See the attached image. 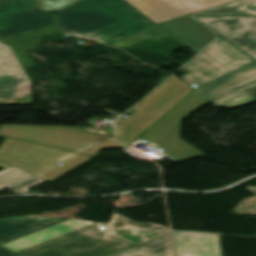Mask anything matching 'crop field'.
<instances>
[{
    "mask_svg": "<svg viewBox=\"0 0 256 256\" xmlns=\"http://www.w3.org/2000/svg\"><path fill=\"white\" fill-rule=\"evenodd\" d=\"M70 219L61 224L2 245L23 256H109L154 237L169 233L167 227L134 222L117 213L110 224ZM163 236V235H162Z\"/></svg>",
    "mask_w": 256,
    "mask_h": 256,
    "instance_id": "crop-field-1",
    "label": "crop field"
},
{
    "mask_svg": "<svg viewBox=\"0 0 256 256\" xmlns=\"http://www.w3.org/2000/svg\"><path fill=\"white\" fill-rule=\"evenodd\" d=\"M0 160L38 175L73 153L110 137L70 126L0 125Z\"/></svg>",
    "mask_w": 256,
    "mask_h": 256,
    "instance_id": "crop-field-2",
    "label": "crop field"
},
{
    "mask_svg": "<svg viewBox=\"0 0 256 256\" xmlns=\"http://www.w3.org/2000/svg\"><path fill=\"white\" fill-rule=\"evenodd\" d=\"M55 16L61 33L107 45L154 25L122 0H85Z\"/></svg>",
    "mask_w": 256,
    "mask_h": 256,
    "instance_id": "crop-field-3",
    "label": "crop field"
},
{
    "mask_svg": "<svg viewBox=\"0 0 256 256\" xmlns=\"http://www.w3.org/2000/svg\"><path fill=\"white\" fill-rule=\"evenodd\" d=\"M192 90L173 75L135 106L128 118L117 120L115 138L128 145Z\"/></svg>",
    "mask_w": 256,
    "mask_h": 256,
    "instance_id": "crop-field-4",
    "label": "crop field"
},
{
    "mask_svg": "<svg viewBox=\"0 0 256 256\" xmlns=\"http://www.w3.org/2000/svg\"><path fill=\"white\" fill-rule=\"evenodd\" d=\"M210 103L197 92H192L172 111L149 128L141 140L160 147L171 158L182 162L191 158L204 155L188 143L180 139L179 130L181 119L199 108Z\"/></svg>",
    "mask_w": 256,
    "mask_h": 256,
    "instance_id": "crop-field-5",
    "label": "crop field"
},
{
    "mask_svg": "<svg viewBox=\"0 0 256 256\" xmlns=\"http://www.w3.org/2000/svg\"><path fill=\"white\" fill-rule=\"evenodd\" d=\"M251 61L247 56L219 38L183 66L191 72L182 79L189 84L196 83L201 86Z\"/></svg>",
    "mask_w": 256,
    "mask_h": 256,
    "instance_id": "crop-field-6",
    "label": "crop field"
},
{
    "mask_svg": "<svg viewBox=\"0 0 256 256\" xmlns=\"http://www.w3.org/2000/svg\"><path fill=\"white\" fill-rule=\"evenodd\" d=\"M256 86V62L224 76L199 91L217 106L230 109L255 101L243 90Z\"/></svg>",
    "mask_w": 256,
    "mask_h": 256,
    "instance_id": "crop-field-7",
    "label": "crop field"
},
{
    "mask_svg": "<svg viewBox=\"0 0 256 256\" xmlns=\"http://www.w3.org/2000/svg\"><path fill=\"white\" fill-rule=\"evenodd\" d=\"M52 13H37L33 0L0 4V38L55 25Z\"/></svg>",
    "mask_w": 256,
    "mask_h": 256,
    "instance_id": "crop-field-8",
    "label": "crop field"
},
{
    "mask_svg": "<svg viewBox=\"0 0 256 256\" xmlns=\"http://www.w3.org/2000/svg\"><path fill=\"white\" fill-rule=\"evenodd\" d=\"M195 18L256 60V17L230 15Z\"/></svg>",
    "mask_w": 256,
    "mask_h": 256,
    "instance_id": "crop-field-9",
    "label": "crop field"
},
{
    "mask_svg": "<svg viewBox=\"0 0 256 256\" xmlns=\"http://www.w3.org/2000/svg\"><path fill=\"white\" fill-rule=\"evenodd\" d=\"M0 104H32L30 81L11 48L0 51Z\"/></svg>",
    "mask_w": 256,
    "mask_h": 256,
    "instance_id": "crop-field-10",
    "label": "crop field"
},
{
    "mask_svg": "<svg viewBox=\"0 0 256 256\" xmlns=\"http://www.w3.org/2000/svg\"><path fill=\"white\" fill-rule=\"evenodd\" d=\"M154 22L172 18L232 0H126Z\"/></svg>",
    "mask_w": 256,
    "mask_h": 256,
    "instance_id": "crop-field-11",
    "label": "crop field"
},
{
    "mask_svg": "<svg viewBox=\"0 0 256 256\" xmlns=\"http://www.w3.org/2000/svg\"><path fill=\"white\" fill-rule=\"evenodd\" d=\"M158 26L195 54L215 38V34L189 16Z\"/></svg>",
    "mask_w": 256,
    "mask_h": 256,
    "instance_id": "crop-field-12",
    "label": "crop field"
},
{
    "mask_svg": "<svg viewBox=\"0 0 256 256\" xmlns=\"http://www.w3.org/2000/svg\"><path fill=\"white\" fill-rule=\"evenodd\" d=\"M63 222L61 219L12 217L0 220V245ZM0 256H20L0 246Z\"/></svg>",
    "mask_w": 256,
    "mask_h": 256,
    "instance_id": "crop-field-13",
    "label": "crop field"
},
{
    "mask_svg": "<svg viewBox=\"0 0 256 256\" xmlns=\"http://www.w3.org/2000/svg\"><path fill=\"white\" fill-rule=\"evenodd\" d=\"M177 256H222L218 235L173 232Z\"/></svg>",
    "mask_w": 256,
    "mask_h": 256,
    "instance_id": "crop-field-14",
    "label": "crop field"
},
{
    "mask_svg": "<svg viewBox=\"0 0 256 256\" xmlns=\"http://www.w3.org/2000/svg\"><path fill=\"white\" fill-rule=\"evenodd\" d=\"M111 256H172L169 235Z\"/></svg>",
    "mask_w": 256,
    "mask_h": 256,
    "instance_id": "crop-field-15",
    "label": "crop field"
},
{
    "mask_svg": "<svg viewBox=\"0 0 256 256\" xmlns=\"http://www.w3.org/2000/svg\"><path fill=\"white\" fill-rule=\"evenodd\" d=\"M210 14H250L256 15V0H238L210 10H206L196 15Z\"/></svg>",
    "mask_w": 256,
    "mask_h": 256,
    "instance_id": "crop-field-16",
    "label": "crop field"
},
{
    "mask_svg": "<svg viewBox=\"0 0 256 256\" xmlns=\"http://www.w3.org/2000/svg\"><path fill=\"white\" fill-rule=\"evenodd\" d=\"M166 36H169L167 33H165L163 30H161L157 25H154L150 28H147L145 30H142L138 33H135L133 35H130L110 46H114L121 49H126L136 43H139L147 38H151L155 41H158Z\"/></svg>",
    "mask_w": 256,
    "mask_h": 256,
    "instance_id": "crop-field-17",
    "label": "crop field"
},
{
    "mask_svg": "<svg viewBox=\"0 0 256 256\" xmlns=\"http://www.w3.org/2000/svg\"><path fill=\"white\" fill-rule=\"evenodd\" d=\"M91 157L83 156L75 154L68 159L60 162L63 165L60 167L54 166L51 169L47 170L43 174L39 175L38 177L51 182L56 178L62 176L63 174L67 173L68 171L72 170L73 168L77 167L78 165L84 163L85 161L89 160Z\"/></svg>",
    "mask_w": 256,
    "mask_h": 256,
    "instance_id": "crop-field-18",
    "label": "crop field"
},
{
    "mask_svg": "<svg viewBox=\"0 0 256 256\" xmlns=\"http://www.w3.org/2000/svg\"><path fill=\"white\" fill-rule=\"evenodd\" d=\"M0 168L4 169L0 171V190L8 186L24 181L26 179L34 177L31 174L23 172L9 164L0 161Z\"/></svg>",
    "mask_w": 256,
    "mask_h": 256,
    "instance_id": "crop-field-19",
    "label": "crop field"
},
{
    "mask_svg": "<svg viewBox=\"0 0 256 256\" xmlns=\"http://www.w3.org/2000/svg\"><path fill=\"white\" fill-rule=\"evenodd\" d=\"M58 32H59L58 27L55 26V27H51V28H47V29H43V30H39V31H35V32L7 38V39H3L0 41L11 46V45L31 41V40L41 39V37H43V36H47V35L58 33Z\"/></svg>",
    "mask_w": 256,
    "mask_h": 256,
    "instance_id": "crop-field-20",
    "label": "crop field"
},
{
    "mask_svg": "<svg viewBox=\"0 0 256 256\" xmlns=\"http://www.w3.org/2000/svg\"><path fill=\"white\" fill-rule=\"evenodd\" d=\"M42 41H33L16 47H12L17 59L19 60L22 68L34 66L26 51L34 49L36 44H40Z\"/></svg>",
    "mask_w": 256,
    "mask_h": 256,
    "instance_id": "crop-field-21",
    "label": "crop field"
},
{
    "mask_svg": "<svg viewBox=\"0 0 256 256\" xmlns=\"http://www.w3.org/2000/svg\"><path fill=\"white\" fill-rule=\"evenodd\" d=\"M81 0H36L38 11H58Z\"/></svg>",
    "mask_w": 256,
    "mask_h": 256,
    "instance_id": "crop-field-22",
    "label": "crop field"
},
{
    "mask_svg": "<svg viewBox=\"0 0 256 256\" xmlns=\"http://www.w3.org/2000/svg\"><path fill=\"white\" fill-rule=\"evenodd\" d=\"M247 189L256 194V186H246ZM234 212L256 215V196L244 199Z\"/></svg>",
    "mask_w": 256,
    "mask_h": 256,
    "instance_id": "crop-field-23",
    "label": "crop field"
},
{
    "mask_svg": "<svg viewBox=\"0 0 256 256\" xmlns=\"http://www.w3.org/2000/svg\"><path fill=\"white\" fill-rule=\"evenodd\" d=\"M103 147H124L122 144H120L119 142H117L115 139H109L107 141H104L102 143H99L97 145H94L90 148H87L81 152L78 153H82V154H86V155H94L99 149L103 148Z\"/></svg>",
    "mask_w": 256,
    "mask_h": 256,
    "instance_id": "crop-field-24",
    "label": "crop field"
},
{
    "mask_svg": "<svg viewBox=\"0 0 256 256\" xmlns=\"http://www.w3.org/2000/svg\"><path fill=\"white\" fill-rule=\"evenodd\" d=\"M45 181L35 177L31 180H28L26 182L20 183L18 185H15L13 187L8 188L9 190L15 192L16 194H22V193H28L27 187L29 186H36L40 183H43Z\"/></svg>",
    "mask_w": 256,
    "mask_h": 256,
    "instance_id": "crop-field-25",
    "label": "crop field"
},
{
    "mask_svg": "<svg viewBox=\"0 0 256 256\" xmlns=\"http://www.w3.org/2000/svg\"><path fill=\"white\" fill-rule=\"evenodd\" d=\"M250 96H252L254 99H256V87L245 90Z\"/></svg>",
    "mask_w": 256,
    "mask_h": 256,
    "instance_id": "crop-field-26",
    "label": "crop field"
},
{
    "mask_svg": "<svg viewBox=\"0 0 256 256\" xmlns=\"http://www.w3.org/2000/svg\"><path fill=\"white\" fill-rule=\"evenodd\" d=\"M5 47H8V46H6V45L0 43V49H1V48H5Z\"/></svg>",
    "mask_w": 256,
    "mask_h": 256,
    "instance_id": "crop-field-27",
    "label": "crop field"
},
{
    "mask_svg": "<svg viewBox=\"0 0 256 256\" xmlns=\"http://www.w3.org/2000/svg\"><path fill=\"white\" fill-rule=\"evenodd\" d=\"M1 1H5V0H0V2H1Z\"/></svg>",
    "mask_w": 256,
    "mask_h": 256,
    "instance_id": "crop-field-28",
    "label": "crop field"
}]
</instances>
